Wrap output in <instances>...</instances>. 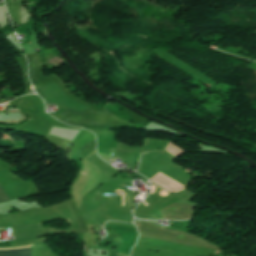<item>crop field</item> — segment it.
<instances>
[{"label":"crop field","instance_id":"obj_1","mask_svg":"<svg viewBox=\"0 0 256 256\" xmlns=\"http://www.w3.org/2000/svg\"><path fill=\"white\" fill-rule=\"evenodd\" d=\"M149 181L159 185L160 187H162L170 192H177V191L185 188L159 172Z\"/></svg>","mask_w":256,"mask_h":256},{"label":"crop field","instance_id":"obj_2","mask_svg":"<svg viewBox=\"0 0 256 256\" xmlns=\"http://www.w3.org/2000/svg\"><path fill=\"white\" fill-rule=\"evenodd\" d=\"M30 247V246H27ZM27 247H19V248H5L0 250L6 249H20V248H27ZM0 256H30V248L27 249H20V250H6L0 251Z\"/></svg>","mask_w":256,"mask_h":256},{"label":"crop field","instance_id":"obj_3","mask_svg":"<svg viewBox=\"0 0 256 256\" xmlns=\"http://www.w3.org/2000/svg\"><path fill=\"white\" fill-rule=\"evenodd\" d=\"M165 150H167L169 153H171L175 157L184 151L178 146H176L175 144H173L172 142H169Z\"/></svg>","mask_w":256,"mask_h":256},{"label":"crop field","instance_id":"obj_4","mask_svg":"<svg viewBox=\"0 0 256 256\" xmlns=\"http://www.w3.org/2000/svg\"><path fill=\"white\" fill-rule=\"evenodd\" d=\"M11 200L5 190L0 185V202Z\"/></svg>","mask_w":256,"mask_h":256},{"label":"crop field","instance_id":"obj_5","mask_svg":"<svg viewBox=\"0 0 256 256\" xmlns=\"http://www.w3.org/2000/svg\"><path fill=\"white\" fill-rule=\"evenodd\" d=\"M122 206H124V199H123V194H122Z\"/></svg>","mask_w":256,"mask_h":256},{"label":"crop field","instance_id":"obj_6","mask_svg":"<svg viewBox=\"0 0 256 256\" xmlns=\"http://www.w3.org/2000/svg\"><path fill=\"white\" fill-rule=\"evenodd\" d=\"M216 254H219L218 252H216Z\"/></svg>","mask_w":256,"mask_h":256}]
</instances>
